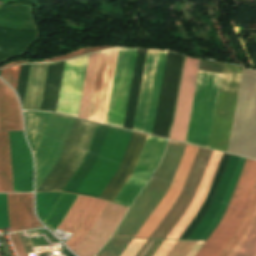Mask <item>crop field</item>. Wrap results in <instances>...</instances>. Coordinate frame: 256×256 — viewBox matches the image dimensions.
I'll return each mask as SVG.
<instances>
[{
  "label": "crop field",
  "instance_id": "obj_1",
  "mask_svg": "<svg viewBox=\"0 0 256 256\" xmlns=\"http://www.w3.org/2000/svg\"><path fill=\"white\" fill-rule=\"evenodd\" d=\"M132 133L99 124L88 153L63 191L99 197L117 171Z\"/></svg>",
  "mask_w": 256,
  "mask_h": 256
},
{
  "label": "crop field",
  "instance_id": "obj_2",
  "mask_svg": "<svg viewBox=\"0 0 256 256\" xmlns=\"http://www.w3.org/2000/svg\"><path fill=\"white\" fill-rule=\"evenodd\" d=\"M256 205V161L247 159L228 208L196 256H227L242 236Z\"/></svg>",
  "mask_w": 256,
  "mask_h": 256
},
{
  "label": "crop field",
  "instance_id": "obj_3",
  "mask_svg": "<svg viewBox=\"0 0 256 256\" xmlns=\"http://www.w3.org/2000/svg\"><path fill=\"white\" fill-rule=\"evenodd\" d=\"M221 76L199 71L185 142L208 148Z\"/></svg>",
  "mask_w": 256,
  "mask_h": 256
},
{
  "label": "crop field",
  "instance_id": "obj_4",
  "mask_svg": "<svg viewBox=\"0 0 256 256\" xmlns=\"http://www.w3.org/2000/svg\"><path fill=\"white\" fill-rule=\"evenodd\" d=\"M98 124L76 119L62 154L37 192L62 191L78 166Z\"/></svg>",
  "mask_w": 256,
  "mask_h": 256
},
{
  "label": "crop field",
  "instance_id": "obj_5",
  "mask_svg": "<svg viewBox=\"0 0 256 256\" xmlns=\"http://www.w3.org/2000/svg\"><path fill=\"white\" fill-rule=\"evenodd\" d=\"M241 71L225 63L209 148L226 152Z\"/></svg>",
  "mask_w": 256,
  "mask_h": 256
},
{
  "label": "crop field",
  "instance_id": "obj_6",
  "mask_svg": "<svg viewBox=\"0 0 256 256\" xmlns=\"http://www.w3.org/2000/svg\"><path fill=\"white\" fill-rule=\"evenodd\" d=\"M137 49L119 48L113 77L106 124L123 126Z\"/></svg>",
  "mask_w": 256,
  "mask_h": 256
},
{
  "label": "crop field",
  "instance_id": "obj_7",
  "mask_svg": "<svg viewBox=\"0 0 256 256\" xmlns=\"http://www.w3.org/2000/svg\"><path fill=\"white\" fill-rule=\"evenodd\" d=\"M184 56L167 54L152 134L166 137L172 121Z\"/></svg>",
  "mask_w": 256,
  "mask_h": 256
},
{
  "label": "crop field",
  "instance_id": "obj_8",
  "mask_svg": "<svg viewBox=\"0 0 256 256\" xmlns=\"http://www.w3.org/2000/svg\"><path fill=\"white\" fill-rule=\"evenodd\" d=\"M166 144L167 140L165 139L148 136L133 174L114 199V202L130 206L141 188L151 177Z\"/></svg>",
  "mask_w": 256,
  "mask_h": 256
},
{
  "label": "crop field",
  "instance_id": "obj_9",
  "mask_svg": "<svg viewBox=\"0 0 256 256\" xmlns=\"http://www.w3.org/2000/svg\"><path fill=\"white\" fill-rule=\"evenodd\" d=\"M211 152V150L201 147L199 148L181 194L150 238L165 239L176 222L185 212L196 192Z\"/></svg>",
  "mask_w": 256,
  "mask_h": 256
},
{
  "label": "crop field",
  "instance_id": "obj_10",
  "mask_svg": "<svg viewBox=\"0 0 256 256\" xmlns=\"http://www.w3.org/2000/svg\"><path fill=\"white\" fill-rule=\"evenodd\" d=\"M107 202L78 195L58 229L73 234L65 243L72 250L91 230Z\"/></svg>",
  "mask_w": 256,
  "mask_h": 256
},
{
  "label": "crop field",
  "instance_id": "obj_11",
  "mask_svg": "<svg viewBox=\"0 0 256 256\" xmlns=\"http://www.w3.org/2000/svg\"><path fill=\"white\" fill-rule=\"evenodd\" d=\"M198 148L199 147L197 146L189 144L186 145L171 185L165 197L163 198V200L161 199L162 201L160 202V204L158 203L159 205L154 210L152 215L150 214L151 216L149 217V219L147 218L148 220L146 221L144 226L142 225L143 227L141 228V230L139 229L140 231L138 232V234L136 233L137 235L135 236V238H149V236L160 223L167 211L173 205L184 186Z\"/></svg>",
  "mask_w": 256,
  "mask_h": 256
},
{
  "label": "crop field",
  "instance_id": "obj_12",
  "mask_svg": "<svg viewBox=\"0 0 256 256\" xmlns=\"http://www.w3.org/2000/svg\"><path fill=\"white\" fill-rule=\"evenodd\" d=\"M127 209L108 202L92 230L73 251L78 256H94L111 237Z\"/></svg>",
  "mask_w": 256,
  "mask_h": 256
},
{
  "label": "crop field",
  "instance_id": "obj_13",
  "mask_svg": "<svg viewBox=\"0 0 256 256\" xmlns=\"http://www.w3.org/2000/svg\"><path fill=\"white\" fill-rule=\"evenodd\" d=\"M117 50L118 48H114L100 54L88 117L90 120L102 123L105 121Z\"/></svg>",
  "mask_w": 256,
  "mask_h": 256
},
{
  "label": "crop field",
  "instance_id": "obj_14",
  "mask_svg": "<svg viewBox=\"0 0 256 256\" xmlns=\"http://www.w3.org/2000/svg\"><path fill=\"white\" fill-rule=\"evenodd\" d=\"M199 61L200 59L197 58L186 57L174 124L169 139L182 142L185 140Z\"/></svg>",
  "mask_w": 256,
  "mask_h": 256
},
{
  "label": "crop field",
  "instance_id": "obj_15",
  "mask_svg": "<svg viewBox=\"0 0 256 256\" xmlns=\"http://www.w3.org/2000/svg\"><path fill=\"white\" fill-rule=\"evenodd\" d=\"M87 57L66 61L56 112L76 117Z\"/></svg>",
  "mask_w": 256,
  "mask_h": 256
},
{
  "label": "crop field",
  "instance_id": "obj_16",
  "mask_svg": "<svg viewBox=\"0 0 256 256\" xmlns=\"http://www.w3.org/2000/svg\"><path fill=\"white\" fill-rule=\"evenodd\" d=\"M14 192L33 191L31 151L23 131L8 132Z\"/></svg>",
  "mask_w": 256,
  "mask_h": 256
},
{
  "label": "crop field",
  "instance_id": "obj_17",
  "mask_svg": "<svg viewBox=\"0 0 256 256\" xmlns=\"http://www.w3.org/2000/svg\"><path fill=\"white\" fill-rule=\"evenodd\" d=\"M148 135L134 132L121 165L100 198L113 201L129 176L132 174Z\"/></svg>",
  "mask_w": 256,
  "mask_h": 256
},
{
  "label": "crop field",
  "instance_id": "obj_18",
  "mask_svg": "<svg viewBox=\"0 0 256 256\" xmlns=\"http://www.w3.org/2000/svg\"><path fill=\"white\" fill-rule=\"evenodd\" d=\"M222 154L223 153H221V152H215V151L212 152L211 157L209 159V162L207 164V167L205 169V172L203 174V177L201 179V182L199 184V187L197 189V192H196L192 202L190 203L186 212L183 214V216L177 222L175 227L172 229V231L166 237V239H179V237L182 235L184 230L187 228V226L190 224L192 219L197 214L199 208L201 207V205L206 197V194L208 192V189L210 187V184L212 182L213 176L215 174V171L217 169V166L219 164Z\"/></svg>",
  "mask_w": 256,
  "mask_h": 256
},
{
  "label": "crop field",
  "instance_id": "obj_19",
  "mask_svg": "<svg viewBox=\"0 0 256 256\" xmlns=\"http://www.w3.org/2000/svg\"><path fill=\"white\" fill-rule=\"evenodd\" d=\"M158 53L159 51H156V50L148 49L147 51L145 68H144L141 90H140L134 128H133V130L143 132V133L145 130V125L147 120V114H148L149 103L151 98Z\"/></svg>",
  "mask_w": 256,
  "mask_h": 256
},
{
  "label": "crop field",
  "instance_id": "obj_20",
  "mask_svg": "<svg viewBox=\"0 0 256 256\" xmlns=\"http://www.w3.org/2000/svg\"><path fill=\"white\" fill-rule=\"evenodd\" d=\"M11 232L40 225L33 214V194H7Z\"/></svg>",
  "mask_w": 256,
  "mask_h": 256
},
{
  "label": "crop field",
  "instance_id": "obj_21",
  "mask_svg": "<svg viewBox=\"0 0 256 256\" xmlns=\"http://www.w3.org/2000/svg\"><path fill=\"white\" fill-rule=\"evenodd\" d=\"M16 129H23L18 101L14 92L0 80V131Z\"/></svg>",
  "mask_w": 256,
  "mask_h": 256
},
{
  "label": "crop field",
  "instance_id": "obj_22",
  "mask_svg": "<svg viewBox=\"0 0 256 256\" xmlns=\"http://www.w3.org/2000/svg\"><path fill=\"white\" fill-rule=\"evenodd\" d=\"M64 63H49L40 110L55 112Z\"/></svg>",
  "mask_w": 256,
  "mask_h": 256
},
{
  "label": "crop field",
  "instance_id": "obj_23",
  "mask_svg": "<svg viewBox=\"0 0 256 256\" xmlns=\"http://www.w3.org/2000/svg\"><path fill=\"white\" fill-rule=\"evenodd\" d=\"M99 54L100 52L90 54L88 57L87 68H86L83 89H82V94H81V99L79 104V110L77 115V117L79 118L87 119L88 117V111L90 106V100H91V95H92V90H93V85L95 80Z\"/></svg>",
  "mask_w": 256,
  "mask_h": 256
},
{
  "label": "crop field",
  "instance_id": "obj_24",
  "mask_svg": "<svg viewBox=\"0 0 256 256\" xmlns=\"http://www.w3.org/2000/svg\"><path fill=\"white\" fill-rule=\"evenodd\" d=\"M27 138L35 153L51 113L23 111Z\"/></svg>",
  "mask_w": 256,
  "mask_h": 256
},
{
  "label": "crop field",
  "instance_id": "obj_25",
  "mask_svg": "<svg viewBox=\"0 0 256 256\" xmlns=\"http://www.w3.org/2000/svg\"><path fill=\"white\" fill-rule=\"evenodd\" d=\"M229 154H223L222 159L220 161V164L218 166V169L216 171L215 177L213 179V182L211 184V187L209 189V192L207 194V197L202 205V207L200 208L198 214L196 215V217L193 219V221L191 222V224L188 226V228L185 230V232L183 233V235L180 237V239H188V237L191 235V233L194 231V229L196 228V226L199 224V222L202 220V218L204 217L206 211L208 210L214 194L216 192V189L218 187V184L220 182L221 176L223 174V171L225 169V166L227 164L228 158H229Z\"/></svg>",
  "mask_w": 256,
  "mask_h": 256
},
{
  "label": "crop field",
  "instance_id": "obj_26",
  "mask_svg": "<svg viewBox=\"0 0 256 256\" xmlns=\"http://www.w3.org/2000/svg\"><path fill=\"white\" fill-rule=\"evenodd\" d=\"M0 192H13L7 132H0Z\"/></svg>",
  "mask_w": 256,
  "mask_h": 256
},
{
  "label": "crop field",
  "instance_id": "obj_27",
  "mask_svg": "<svg viewBox=\"0 0 256 256\" xmlns=\"http://www.w3.org/2000/svg\"><path fill=\"white\" fill-rule=\"evenodd\" d=\"M77 195L62 193L49 216L43 221L53 232L63 221Z\"/></svg>",
  "mask_w": 256,
  "mask_h": 256
},
{
  "label": "crop field",
  "instance_id": "obj_28",
  "mask_svg": "<svg viewBox=\"0 0 256 256\" xmlns=\"http://www.w3.org/2000/svg\"><path fill=\"white\" fill-rule=\"evenodd\" d=\"M167 51H160L145 133L151 134Z\"/></svg>",
  "mask_w": 256,
  "mask_h": 256
},
{
  "label": "crop field",
  "instance_id": "obj_29",
  "mask_svg": "<svg viewBox=\"0 0 256 256\" xmlns=\"http://www.w3.org/2000/svg\"><path fill=\"white\" fill-rule=\"evenodd\" d=\"M256 223V208L253 212V215L251 217V220L243 234V236L241 237V239L238 241V243L235 245V247L232 249V251L229 253L228 256H235L238 251L240 250V248L243 246V244L246 242V240L248 239L254 225Z\"/></svg>",
  "mask_w": 256,
  "mask_h": 256
},
{
  "label": "crop field",
  "instance_id": "obj_30",
  "mask_svg": "<svg viewBox=\"0 0 256 256\" xmlns=\"http://www.w3.org/2000/svg\"><path fill=\"white\" fill-rule=\"evenodd\" d=\"M256 252V225L244 246L236 256H253Z\"/></svg>",
  "mask_w": 256,
  "mask_h": 256
},
{
  "label": "crop field",
  "instance_id": "obj_31",
  "mask_svg": "<svg viewBox=\"0 0 256 256\" xmlns=\"http://www.w3.org/2000/svg\"><path fill=\"white\" fill-rule=\"evenodd\" d=\"M106 48H110V47H101V46L87 47V48L80 49L76 52H72V53H69V54H65V55H62V56H58V57H54V58H50V59H46V60H42V61L51 62V61L70 59V58H74V57H77V56H80V55H84V54H87V53H90V52H94V51H98V50H102V49H106Z\"/></svg>",
  "mask_w": 256,
  "mask_h": 256
},
{
  "label": "crop field",
  "instance_id": "obj_32",
  "mask_svg": "<svg viewBox=\"0 0 256 256\" xmlns=\"http://www.w3.org/2000/svg\"><path fill=\"white\" fill-rule=\"evenodd\" d=\"M195 242L196 241H177L167 256H186Z\"/></svg>",
  "mask_w": 256,
  "mask_h": 256
},
{
  "label": "crop field",
  "instance_id": "obj_33",
  "mask_svg": "<svg viewBox=\"0 0 256 256\" xmlns=\"http://www.w3.org/2000/svg\"><path fill=\"white\" fill-rule=\"evenodd\" d=\"M20 66H14L2 70L1 77L5 79L13 88L16 89L17 78Z\"/></svg>",
  "mask_w": 256,
  "mask_h": 256
},
{
  "label": "crop field",
  "instance_id": "obj_34",
  "mask_svg": "<svg viewBox=\"0 0 256 256\" xmlns=\"http://www.w3.org/2000/svg\"><path fill=\"white\" fill-rule=\"evenodd\" d=\"M146 240H132L121 256H135Z\"/></svg>",
  "mask_w": 256,
  "mask_h": 256
},
{
  "label": "crop field",
  "instance_id": "obj_35",
  "mask_svg": "<svg viewBox=\"0 0 256 256\" xmlns=\"http://www.w3.org/2000/svg\"><path fill=\"white\" fill-rule=\"evenodd\" d=\"M18 256H27L25 249L17 233L9 235Z\"/></svg>",
  "mask_w": 256,
  "mask_h": 256
},
{
  "label": "crop field",
  "instance_id": "obj_36",
  "mask_svg": "<svg viewBox=\"0 0 256 256\" xmlns=\"http://www.w3.org/2000/svg\"><path fill=\"white\" fill-rule=\"evenodd\" d=\"M175 242L176 241L164 240V242L161 244V246L158 248L153 256H165L175 244Z\"/></svg>",
  "mask_w": 256,
  "mask_h": 256
},
{
  "label": "crop field",
  "instance_id": "obj_37",
  "mask_svg": "<svg viewBox=\"0 0 256 256\" xmlns=\"http://www.w3.org/2000/svg\"><path fill=\"white\" fill-rule=\"evenodd\" d=\"M154 242L155 240H147L136 256H144Z\"/></svg>",
  "mask_w": 256,
  "mask_h": 256
},
{
  "label": "crop field",
  "instance_id": "obj_38",
  "mask_svg": "<svg viewBox=\"0 0 256 256\" xmlns=\"http://www.w3.org/2000/svg\"><path fill=\"white\" fill-rule=\"evenodd\" d=\"M204 242L197 241L187 256H194Z\"/></svg>",
  "mask_w": 256,
  "mask_h": 256
},
{
  "label": "crop field",
  "instance_id": "obj_39",
  "mask_svg": "<svg viewBox=\"0 0 256 256\" xmlns=\"http://www.w3.org/2000/svg\"><path fill=\"white\" fill-rule=\"evenodd\" d=\"M24 63H28V62L19 60V61H16V62L7 64V65H4V66H2V67H0V68L6 67V66H10V65H16V64H24Z\"/></svg>",
  "mask_w": 256,
  "mask_h": 256
},
{
  "label": "crop field",
  "instance_id": "obj_40",
  "mask_svg": "<svg viewBox=\"0 0 256 256\" xmlns=\"http://www.w3.org/2000/svg\"><path fill=\"white\" fill-rule=\"evenodd\" d=\"M29 1H34V2H36L37 0H29Z\"/></svg>",
  "mask_w": 256,
  "mask_h": 256
},
{
  "label": "crop field",
  "instance_id": "obj_41",
  "mask_svg": "<svg viewBox=\"0 0 256 256\" xmlns=\"http://www.w3.org/2000/svg\"><path fill=\"white\" fill-rule=\"evenodd\" d=\"M254 256H256V254Z\"/></svg>",
  "mask_w": 256,
  "mask_h": 256
}]
</instances>
